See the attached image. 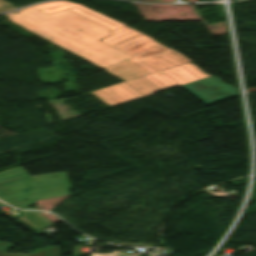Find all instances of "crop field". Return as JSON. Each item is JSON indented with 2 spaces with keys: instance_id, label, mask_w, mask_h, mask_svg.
Here are the masks:
<instances>
[{
  "instance_id": "obj_1",
  "label": "crop field",
  "mask_w": 256,
  "mask_h": 256,
  "mask_svg": "<svg viewBox=\"0 0 256 256\" xmlns=\"http://www.w3.org/2000/svg\"><path fill=\"white\" fill-rule=\"evenodd\" d=\"M9 21L31 33L71 52L101 69L134 58L150 56L168 50L154 39L124 26L113 35L109 29L69 10L46 15L32 7L6 15Z\"/></svg>"
},
{
  "instance_id": "obj_2",
  "label": "crop field",
  "mask_w": 256,
  "mask_h": 256,
  "mask_svg": "<svg viewBox=\"0 0 256 256\" xmlns=\"http://www.w3.org/2000/svg\"><path fill=\"white\" fill-rule=\"evenodd\" d=\"M70 188L65 172L30 177L22 168H15L0 173V199L17 208L35 205L38 199L71 194Z\"/></svg>"
},
{
  "instance_id": "obj_3",
  "label": "crop field",
  "mask_w": 256,
  "mask_h": 256,
  "mask_svg": "<svg viewBox=\"0 0 256 256\" xmlns=\"http://www.w3.org/2000/svg\"><path fill=\"white\" fill-rule=\"evenodd\" d=\"M139 88L143 89L140 90ZM161 91L145 78H137L108 88L92 92L105 103L113 106L138 97Z\"/></svg>"
},
{
  "instance_id": "obj_4",
  "label": "crop field",
  "mask_w": 256,
  "mask_h": 256,
  "mask_svg": "<svg viewBox=\"0 0 256 256\" xmlns=\"http://www.w3.org/2000/svg\"><path fill=\"white\" fill-rule=\"evenodd\" d=\"M144 77L164 90L207 78L210 75L189 62Z\"/></svg>"
},
{
  "instance_id": "obj_5",
  "label": "crop field",
  "mask_w": 256,
  "mask_h": 256,
  "mask_svg": "<svg viewBox=\"0 0 256 256\" xmlns=\"http://www.w3.org/2000/svg\"><path fill=\"white\" fill-rule=\"evenodd\" d=\"M180 87L206 105L238 96L236 88L224 84L214 76Z\"/></svg>"
},
{
  "instance_id": "obj_6",
  "label": "crop field",
  "mask_w": 256,
  "mask_h": 256,
  "mask_svg": "<svg viewBox=\"0 0 256 256\" xmlns=\"http://www.w3.org/2000/svg\"><path fill=\"white\" fill-rule=\"evenodd\" d=\"M33 7L46 13V14L68 8V9L88 18V19H91L101 25H104V26L110 28L111 32L124 26V24L120 23L117 20H114V19L107 17L103 14H100L91 9H88L80 4H72L66 0L49 2V3H45V4L33 6Z\"/></svg>"
},
{
  "instance_id": "obj_7",
  "label": "crop field",
  "mask_w": 256,
  "mask_h": 256,
  "mask_svg": "<svg viewBox=\"0 0 256 256\" xmlns=\"http://www.w3.org/2000/svg\"><path fill=\"white\" fill-rule=\"evenodd\" d=\"M187 58L174 50H169L134 62L147 69L151 73L164 70L179 64L189 62Z\"/></svg>"
},
{
  "instance_id": "obj_8",
  "label": "crop field",
  "mask_w": 256,
  "mask_h": 256,
  "mask_svg": "<svg viewBox=\"0 0 256 256\" xmlns=\"http://www.w3.org/2000/svg\"><path fill=\"white\" fill-rule=\"evenodd\" d=\"M10 243L0 242V256H60L61 247L53 246L35 250L31 254H8L6 253L11 247Z\"/></svg>"
},
{
  "instance_id": "obj_9",
  "label": "crop field",
  "mask_w": 256,
  "mask_h": 256,
  "mask_svg": "<svg viewBox=\"0 0 256 256\" xmlns=\"http://www.w3.org/2000/svg\"><path fill=\"white\" fill-rule=\"evenodd\" d=\"M24 217L20 218V220L26 222L32 229L40 230L47 226L52 225V223L43 217L38 212H24Z\"/></svg>"
},
{
  "instance_id": "obj_10",
  "label": "crop field",
  "mask_w": 256,
  "mask_h": 256,
  "mask_svg": "<svg viewBox=\"0 0 256 256\" xmlns=\"http://www.w3.org/2000/svg\"><path fill=\"white\" fill-rule=\"evenodd\" d=\"M11 9H16V7H14L12 4L4 0H0V12H4Z\"/></svg>"
},
{
  "instance_id": "obj_11",
  "label": "crop field",
  "mask_w": 256,
  "mask_h": 256,
  "mask_svg": "<svg viewBox=\"0 0 256 256\" xmlns=\"http://www.w3.org/2000/svg\"><path fill=\"white\" fill-rule=\"evenodd\" d=\"M1 204V203H0Z\"/></svg>"
}]
</instances>
